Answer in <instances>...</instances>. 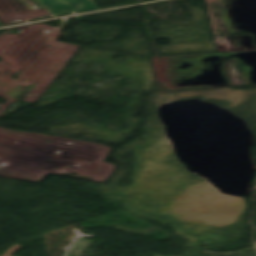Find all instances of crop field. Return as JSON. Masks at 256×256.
Masks as SVG:
<instances>
[{
  "mask_svg": "<svg viewBox=\"0 0 256 256\" xmlns=\"http://www.w3.org/2000/svg\"><path fill=\"white\" fill-rule=\"evenodd\" d=\"M45 9L73 5L78 12L97 8L92 0H40Z\"/></svg>",
  "mask_w": 256,
  "mask_h": 256,
  "instance_id": "8a807250",
  "label": "crop field"
},
{
  "mask_svg": "<svg viewBox=\"0 0 256 256\" xmlns=\"http://www.w3.org/2000/svg\"><path fill=\"white\" fill-rule=\"evenodd\" d=\"M49 11H50V13H51L53 16L60 15V14H62V13H66V12H70V13H75V12H77L73 6L64 7V8H58V9H52V10H49ZM49 11H48V12H49Z\"/></svg>",
  "mask_w": 256,
  "mask_h": 256,
  "instance_id": "ac0d7876",
  "label": "crop field"
}]
</instances>
